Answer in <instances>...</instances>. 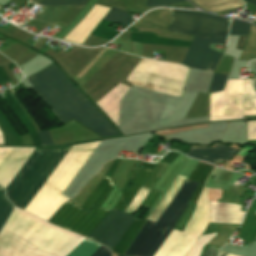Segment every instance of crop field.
<instances>
[{
    "label": "crop field",
    "instance_id": "38",
    "mask_svg": "<svg viewBox=\"0 0 256 256\" xmlns=\"http://www.w3.org/2000/svg\"><path fill=\"white\" fill-rule=\"evenodd\" d=\"M158 132V131H157Z\"/></svg>",
    "mask_w": 256,
    "mask_h": 256
},
{
    "label": "crop field",
    "instance_id": "6",
    "mask_svg": "<svg viewBox=\"0 0 256 256\" xmlns=\"http://www.w3.org/2000/svg\"><path fill=\"white\" fill-rule=\"evenodd\" d=\"M196 186L197 183L185 180L159 220L156 223L147 220L124 255L152 256L169 236L177 218L188 205L187 201Z\"/></svg>",
    "mask_w": 256,
    "mask_h": 256
},
{
    "label": "crop field",
    "instance_id": "28",
    "mask_svg": "<svg viewBox=\"0 0 256 256\" xmlns=\"http://www.w3.org/2000/svg\"><path fill=\"white\" fill-rule=\"evenodd\" d=\"M160 193L161 191L153 189L150 196L148 197L146 202L143 204V207L147 208L149 211V209L152 207V205L154 204V202L156 201Z\"/></svg>",
    "mask_w": 256,
    "mask_h": 256
},
{
    "label": "crop field",
    "instance_id": "13",
    "mask_svg": "<svg viewBox=\"0 0 256 256\" xmlns=\"http://www.w3.org/2000/svg\"><path fill=\"white\" fill-rule=\"evenodd\" d=\"M240 208L241 206L239 205L210 203L209 222L239 224L243 214V212L240 211Z\"/></svg>",
    "mask_w": 256,
    "mask_h": 256
},
{
    "label": "crop field",
    "instance_id": "15",
    "mask_svg": "<svg viewBox=\"0 0 256 256\" xmlns=\"http://www.w3.org/2000/svg\"><path fill=\"white\" fill-rule=\"evenodd\" d=\"M151 171L139 168L134 181L130 184V186L127 188V190L124 192V194L119 199L117 205L115 208L125 211L127 206L130 204L131 200L133 199L136 192L139 190L140 186L145 184L147 178L149 177Z\"/></svg>",
    "mask_w": 256,
    "mask_h": 256
},
{
    "label": "crop field",
    "instance_id": "25",
    "mask_svg": "<svg viewBox=\"0 0 256 256\" xmlns=\"http://www.w3.org/2000/svg\"><path fill=\"white\" fill-rule=\"evenodd\" d=\"M249 24L240 22L238 20H232L231 29L229 35H247L249 30Z\"/></svg>",
    "mask_w": 256,
    "mask_h": 256
},
{
    "label": "crop field",
    "instance_id": "12",
    "mask_svg": "<svg viewBox=\"0 0 256 256\" xmlns=\"http://www.w3.org/2000/svg\"><path fill=\"white\" fill-rule=\"evenodd\" d=\"M87 213L71 201L65 203L48 221L71 230Z\"/></svg>",
    "mask_w": 256,
    "mask_h": 256
},
{
    "label": "crop field",
    "instance_id": "29",
    "mask_svg": "<svg viewBox=\"0 0 256 256\" xmlns=\"http://www.w3.org/2000/svg\"><path fill=\"white\" fill-rule=\"evenodd\" d=\"M185 0H148L147 6L166 5L178 2H184Z\"/></svg>",
    "mask_w": 256,
    "mask_h": 256
},
{
    "label": "crop field",
    "instance_id": "36",
    "mask_svg": "<svg viewBox=\"0 0 256 256\" xmlns=\"http://www.w3.org/2000/svg\"><path fill=\"white\" fill-rule=\"evenodd\" d=\"M219 256H226V253H224V252H220V254H219Z\"/></svg>",
    "mask_w": 256,
    "mask_h": 256
},
{
    "label": "crop field",
    "instance_id": "33",
    "mask_svg": "<svg viewBox=\"0 0 256 256\" xmlns=\"http://www.w3.org/2000/svg\"><path fill=\"white\" fill-rule=\"evenodd\" d=\"M161 164L159 163L156 170L154 171L153 175L151 176V178L149 179L148 183L146 184L147 187H149L153 177L155 176V174L158 172L159 168H160Z\"/></svg>",
    "mask_w": 256,
    "mask_h": 256
},
{
    "label": "crop field",
    "instance_id": "16",
    "mask_svg": "<svg viewBox=\"0 0 256 256\" xmlns=\"http://www.w3.org/2000/svg\"><path fill=\"white\" fill-rule=\"evenodd\" d=\"M100 246L101 245L86 239L74 251H72L68 256H90ZM91 256H111V255H110V251L108 249L101 246Z\"/></svg>",
    "mask_w": 256,
    "mask_h": 256
},
{
    "label": "crop field",
    "instance_id": "2",
    "mask_svg": "<svg viewBox=\"0 0 256 256\" xmlns=\"http://www.w3.org/2000/svg\"><path fill=\"white\" fill-rule=\"evenodd\" d=\"M27 79L63 123L73 118L103 137L118 134L54 65Z\"/></svg>",
    "mask_w": 256,
    "mask_h": 256
},
{
    "label": "crop field",
    "instance_id": "4",
    "mask_svg": "<svg viewBox=\"0 0 256 256\" xmlns=\"http://www.w3.org/2000/svg\"><path fill=\"white\" fill-rule=\"evenodd\" d=\"M99 142L72 146L25 211L47 220L64 202L70 200L61 193Z\"/></svg>",
    "mask_w": 256,
    "mask_h": 256
},
{
    "label": "crop field",
    "instance_id": "23",
    "mask_svg": "<svg viewBox=\"0 0 256 256\" xmlns=\"http://www.w3.org/2000/svg\"><path fill=\"white\" fill-rule=\"evenodd\" d=\"M13 206L7 201L4 190L0 188V229L13 210Z\"/></svg>",
    "mask_w": 256,
    "mask_h": 256
},
{
    "label": "crop field",
    "instance_id": "30",
    "mask_svg": "<svg viewBox=\"0 0 256 256\" xmlns=\"http://www.w3.org/2000/svg\"><path fill=\"white\" fill-rule=\"evenodd\" d=\"M48 132L47 131L37 132L42 145H54Z\"/></svg>",
    "mask_w": 256,
    "mask_h": 256
},
{
    "label": "crop field",
    "instance_id": "9",
    "mask_svg": "<svg viewBox=\"0 0 256 256\" xmlns=\"http://www.w3.org/2000/svg\"><path fill=\"white\" fill-rule=\"evenodd\" d=\"M114 184L108 177H104L95 188L88 200L81 208L89 212L85 217L71 230L77 234L87 237L92 229L103 219L109 210L100 208Z\"/></svg>",
    "mask_w": 256,
    "mask_h": 256
},
{
    "label": "crop field",
    "instance_id": "20",
    "mask_svg": "<svg viewBox=\"0 0 256 256\" xmlns=\"http://www.w3.org/2000/svg\"><path fill=\"white\" fill-rule=\"evenodd\" d=\"M256 67V60L253 61ZM256 92V79H249ZM248 79H245V115H256V94Z\"/></svg>",
    "mask_w": 256,
    "mask_h": 256
},
{
    "label": "crop field",
    "instance_id": "7",
    "mask_svg": "<svg viewBox=\"0 0 256 256\" xmlns=\"http://www.w3.org/2000/svg\"><path fill=\"white\" fill-rule=\"evenodd\" d=\"M207 189L200 196L197 207L182 233L174 230L155 256H185L197 241L209 220Z\"/></svg>",
    "mask_w": 256,
    "mask_h": 256
},
{
    "label": "crop field",
    "instance_id": "32",
    "mask_svg": "<svg viewBox=\"0 0 256 256\" xmlns=\"http://www.w3.org/2000/svg\"><path fill=\"white\" fill-rule=\"evenodd\" d=\"M245 39H246V36H240V37H239V41H238V44H237V48H236V49L242 50L243 44H244V42H245Z\"/></svg>",
    "mask_w": 256,
    "mask_h": 256
},
{
    "label": "crop field",
    "instance_id": "22",
    "mask_svg": "<svg viewBox=\"0 0 256 256\" xmlns=\"http://www.w3.org/2000/svg\"><path fill=\"white\" fill-rule=\"evenodd\" d=\"M103 20L118 22L126 26L129 21V16L127 13L112 7L110 11L105 15Z\"/></svg>",
    "mask_w": 256,
    "mask_h": 256
},
{
    "label": "crop field",
    "instance_id": "3",
    "mask_svg": "<svg viewBox=\"0 0 256 256\" xmlns=\"http://www.w3.org/2000/svg\"><path fill=\"white\" fill-rule=\"evenodd\" d=\"M169 10L171 22L167 30L226 42L230 19L195 11ZM196 37L193 38L183 63L193 68L213 71L221 53L209 49L208 46L210 43L221 45L226 43Z\"/></svg>",
    "mask_w": 256,
    "mask_h": 256
},
{
    "label": "crop field",
    "instance_id": "21",
    "mask_svg": "<svg viewBox=\"0 0 256 256\" xmlns=\"http://www.w3.org/2000/svg\"><path fill=\"white\" fill-rule=\"evenodd\" d=\"M67 7H47L37 21L52 25L53 22L66 10Z\"/></svg>",
    "mask_w": 256,
    "mask_h": 256
},
{
    "label": "crop field",
    "instance_id": "8",
    "mask_svg": "<svg viewBox=\"0 0 256 256\" xmlns=\"http://www.w3.org/2000/svg\"><path fill=\"white\" fill-rule=\"evenodd\" d=\"M243 80L228 79L224 91L210 94L209 121L242 118Z\"/></svg>",
    "mask_w": 256,
    "mask_h": 256
},
{
    "label": "crop field",
    "instance_id": "27",
    "mask_svg": "<svg viewBox=\"0 0 256 256\" xmlns=\"http://www.w3.org/2000/svg\"><path fill=\"white\" fill-rule=\"evenodd\" d=\"M226 77L227 76L225 75L214 73L210 87V93L223 90Z\"/></svg>",
    "mask_w": 256,
    "mask_h": 256
},
{
    "label": "crop field",
    "instance_id": "24",
    "mask_svg": "<svg viewBox=\"0 0 256 256\" xmlns=\"http://www.w3.org/2000/svg\"><path fill=\"white\" fill-rule=\"evenodd\" d=\"M215 235L214 234H208L200 236L198 241L195 243V245L192 247V249L187 253L186 256H199L201 248Z\"/></svg>",
    "mask_w": 256,
    "mask_h": 256
},
{
    "label": "crop field",
    "instance_id": "18",
    "mask_svg": "<svg viewBox=\"0 0 256 256\" xmlns=\"http://www.w3.org/2000/svg\"><path fill=\"white\" fill-rule=\"evenodd\" d=\"M185 180L184 177L177 176L171 187L169 188L166 196L162 199L159 206L156 208V210L153 212V214L150 216V220H153L156 222L158 217L161 215V213L164 211V209L167 207V205L171 202V200L175 197L177 194L180 186L182 185L183 181Z\"/></svg>",
    "mask_w": 256,
    "mask_h": 256
},
{
    "label": "crop field",
    "instance_id": "10",
    "mask_svg": "<svg viewBox=\"0 0 256 256\" xmlns=\"http://www.w3.org/2000/svg\"><path fill=\"white\" fill-rule=\"evenodd\" d=\"M136 217L111 209L88 237L106 244L111 250Z\"/></svg>",
    "mask_w": 256,
    "mask_h": 256
},
{
    "label": "crop field",
    "instance_id": "31",
    "mask_svg": "<svg viewBox=\"0 0 256 256\" xmlns=\"http://www.w3.org/2000/svg\"><path fill=\"white\" fill-rule=\"evenodd\" d=\"M217 252H218V249L210 246L203 256H215Z\"/></svg>",
    "mask_w": 256,
    "mask_h": 256
},
{
    "label": "crop field",
    "instance_id": "26",
    "mask_svg": "<svg viewBox=\"0 0 256 256\" xmlns=\"http://www.w3.org/2000/svg\"><path fill=\"white\" fill-rule=\"evenodd\" d=\"M88 0H43L40 5L59 6V5H85Z\"/></svg>",
    "mask_w": 256,
    "mask_h": 256
},
{
    "label": "crop field",
    "instance_id": "17",
    "mask_svg": "<svg viewBox=\"0 0 256 256\" xmlns=\"http://www.w3.org/2000/svg\"><path fill=\"white\" fill-rule=\"evenodd\" d=\"M213 166L206 165L204 163L198 162L190 176L188 177V180L195 181L200 183L199 186L197 187L196 191L194 192L193 196L189 200V202L195 203L201 189L203 187L204 181L206 177L209 175V173L212 171Z\"/></svg>",
    "mask_w": 256,
    "mask_h": 256
},
{
    "label": "crop field",
    "instance_id": "11",
    "mask_svg": "<svg viewBox=\"0 0 256 256\" xmlns=\"http://www.w3.org/2000/svg\"><path fill=\"white\" fill-rule=\"evenodd\" d=\"M12 147H0V163ZM35 148L13 147L0 164V186L4 189L22 167Z\"/></svg>",
    "mask_w": 256,
    "mask_h": 256
},
{
    "label": "crop field",
    "instance_id": "37",
    "mask_svg": "<svg viewBox=\"0 0 256 256\" xmlns=\"http://www.w3.org/2000/svg\"><path fill=\"white\" fill-rule=\"evenodd\" d=\"M227 256H234V255L227 254Z\"/></svg>",
    "mask_w": 256,
    "mask_h": 256
},
{
    "label": "crop field",
    "instance_id": "1",
    "mask_svg": "<svg viewBox=\"0 0 256 256\" xmlns=\"http://www.w3.org/2000/svg\"><path fill=\"white\" fill-rule=\"evenodd\" d=\"M83 240L15 209L0 233V256H67Z\"/></svg>",
    "mask_w": 256,
    "mask_h": 256
},
{
    "label": "crop field",
    "instance_id": "35",
    "mask_svg": "<svg viewBox=\"0 0 256 256\" xmlns=\"http://www.w3.org/2000/svg\"><path fill=\"white\" fill-rule=\"evenodd\" d=\"M0 144H3L2 134L0 132Z\"/></svg>",
    "mask_w": 256,
    "mask_h": 256
},
{
    "label": "crop field",
    "instance_id": "34",
    "mask_svg": "<svg viewBox=\"0 0 256 256\" xmlns=\"http://www.w3.org/2000/svg\"><path fill=\"white\" fill-rule=\"evenodd\" d=\"M245 1H248V2H250V3L254 4V5H256V0H245Z\"/></svg>",
    "mask_w": 256,
    "mask_h": 256
},
{
    "label": "crop field",
    "instance_id": "19",
    "mask_svg": "<svg viewBox=\"0 0 256 256\" xmlns=\"http://www.w3.org/2000/svg\"><path fill=\"white\" fill-rule=\"evenodd\" d=\"M145 222L144 219L137 218L129 227V229L126 231V233L123 235V237L119 240L116 247L113 249V252L122 255L128 244L131 242V240L134 238V236L139 231L142 224ZM130 245V244H129ZM128 248V247H127Z\"/></svg>",
    "mask_w": 256,
    "mask_h": 256
},
{
    "label": "crop field",
    "instance_id": "5",
    "mask_svg": "<svg viewBox=\"0 0 256 256\" xmlns=\"http://www.w3.org/2000/svg\"><path fill=\"white\" fill-rule=\"evenodd\" d=\"M69 148L36 149L5 189L8 200L24 210Z\"/></svg>",
    "mask_w": 256,
    "mask_h": 256
},
{
    "label": "crop field",
    "instance_id": "14",
    "mask_svg": "<svg viewBox=\"0 0 256 256\" xmlns=\"http://www.w3.org/2000/svg\"><path fill=\"white\" fill-rule=\"evenodd\" d=\"M236 149L215 145L214 148L191 147L187 156L204 160L216 165L219 159L228 161Z\"/></svg>",
    "mask_w": 256,
    "mask_h": 256
}]
</instances>
